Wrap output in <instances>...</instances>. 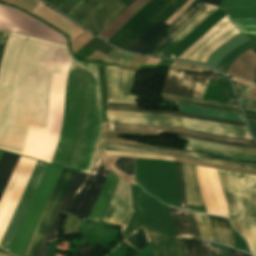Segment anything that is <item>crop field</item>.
<instances>
[{"instance_id": "26", "label": "crop field", "mask_w": 256, "mask_h": 256, "mask_svg": "<svg viewBox=\"0 0 256 256\" xmlns=\"http://www.w3.org/2000/svg\"><path fill=\"white\" fill-rule=\"evenodd\" d=\"M132 87H107V102L136 103L137 96H132Z\"/></svg>"}, {"instance_id": "55", "label": "crop field", "mask_w": 256, "mask_h": 256, "mask_svg": "<svg viewBox=\"0 0 256 256\" xmlns=\"http://www.w3.org/2000/svg\"><path fill=\"white\" fill-rule=\"evenodd\" d=\"M2 153H3V152H2V151H0V157H1Z\"/></svg>"}, {"instance_id": "41", "label": "crop field", "mask_w": 256, "mask_h": 256, "mask_svg": "<svg viewBox=\"0 0 256 256\" xmlns=\"http://www.w3.org/2000/svg\"><path fill=\"white\" fill-rule=\"evenodd\" d=\"M123 54V52L114 49L105 59H103L102 61L104 62H111V63H115L119 57Z\"/></svg>"}, {"instance_id": "37", "label": "crop field", "mask_w": 256, "mask_h": 256, "mask_svg": "<svg viewBox=\"0 0 256 256\" xmlns=\"http://www.w3.org/2000/svg\"><path fill=\"white\" fill-rule=\"evenodd\" d=\"M89 46L105 53V54H109L110 51L113 49L110 46H108L107 44H105L104 42H102L101 40H99L98 38H94L92 39L89 43H87L83 48H88Z\"/></svg>"}, {"instance_id": "42", "label": "crop field", "mask_w": 256, "mask_h": 256, "mask_svg": "<svg viewBox=\"0 0 256 256\" xmlns=\"http://www.w3.org/2000/svg\"><path fill=\"white\" fill-rule=\"evenodd\" d=\"M106 106L138 108L137 104L128 103H107Z\"/></svg>"}, {"instance_id": "18", "label": "crop field", "mask_w": 256, "mask_h": 256, "mask_svg": "<svg viewBox=\"0 0 256 256\" xmlns=\"http://www.w3.org/2000/svg\"><path fill=\"white\" fill-rule=\"evenodd\" d=\"M120 178L110 171L88 218L101 219Z\"/></svg>"}, {"instance_id": "10", "label": "crop field", "mask_w": 256, "mask_h": 256, "mask_svg": "<svg viewBox=\"0 0 256 256\" xmlns=\"http://www.w3.org/2000/svg\"><path fill=\"white\" fill-rule=\"evenodd\" d=\"M103 150L168 155V156L193 159V160H199V161L256 170V164L238 163V162H234L235 159H231V158L219 157V156L181 150V149L106 143Z\"/></svg>"}, {"instance_id": "40", "label": "crop field", "mask_w": 256, "mask_h": 256, "mask_svg": "<svg viewBox=\"0 0 256 256\" xmlns=\"http://www.w3.org/2000/svg\"><path fill=\"white\" fill-rule=\"evenodd\" d=\"M160 100L171 101V102H178V103H184V104H189V105H195V106H200V107H205V108H211V109H216V110H222V111H228V112H233V113H239V114H241L240 111H239V110H236V109L215 107V106H209V105H203V104H197V103H190V102H183V101H177V100H170V99H164V98H161Z\"/></svg>"}, {"instance_id": "33", "label": "crop field", "mask_w": 256, "mask_h": 256, "mask_svg": "<svg viewBox=\"0 0 256 256\" xmlns=\"http://www.w3.org/2000/svg\"><path fill=\"white\" fill-rule=\"evenodd\" d=\"M116 168L131 175L135 180V158L117 157Z\"/></svg>"}, {"instance_id": "50", "label": "crop field", "mask_w": 256, "mask_h": 256, "mask_svg": "<svg viewBox=\"0 0 256 256\" xmlns=\"http://www.w3.org/2000/svg\"><path fill=\"white\" fill-rule=\"evenodd\" d=\"M227 103L234 104V105L236 104V101H235V98H234V95H233L232 91H231V94H230V97H229Z\"/></svg>"}, {"instance_id": "32", "label": "crop field", "mask_w": 256, "mask_h": 256, "mask_svg": "<svg viewBox=\"0 0 256 256\" xmlns=\"http://www.w3.org/2000/svg\"><path fill=\"white\" fill-rule=\"evenodd\" d=\"M198 226L201 239L212 240L207 216L201 213L191 212ZM213 241V240H212Z\"/></svg>"}, {"instance_id": "34", "label": "crop field", "mask_w": 256, "mask_h": 256, "mask_svg": "<svg viewBox=\"0 0 256 256\" xmlns=\"http://www.w3.org/2000/svg\"><path fill=\"white\" fill-rule=\"evenodd\" d=\"M233 20L244 32V34H256V19H233Z\"/></svg>"}, {"instance_id": "48", "label": "crop field", "mask_w": 256, "mask_h": 256, "mask_svg": "<svg viewBox=\"0 0 256 256\" xmlns=\"http://www.w3.org/2000/svg\"><path fill=\"white\" fill-rule=\"evenodd\" d=\"M226 16H227V15H226ZM227 18L230 20V18H229L228 16H227ZM230 21H231V20H230ZM231 22H232V21H231ZM232 23H233V22H232ZM233 24H234V23H233ZM234 26L237 28V26H236L235 24H234ZM237 29H238V28H237ZM238 31L241 32L239 29H238ZM215 33H216V32H215ZM215 33H214V34H215ZM214 34H213V35H214ZM206 41H207V40H206ZM206 41H205V42H206ZM205 42H204V43H205ZM204 43H203V44H204ZM224 44H225V43H224ZM224 44H223V45H224ZM220 47H221V46H220ZM220 47H219V48H220ZM219 48H218V49H219ZM197 49H198V48H197ZM197 49H196V50H197ZM196 50H195V51H196ZM216 50H217V49H216ZM216 50H215V51H216ZM195 51H194V52H195ZM215 51H214V52H215ZM194 52H193V53H194ZM214 52H213V53H214ZM193 53H192V54H193ZM213 53H212V54H213ZM212 54H211V55H212ZM211 55H210V56H211ZM189 56H190V55H189ZM189 56H188V57H189ZM210 56H209V57H210ZM188 57H187V58H188ZM187 58H186V59H187ZM177 59H179V60H186V59H181V58H177ZM208 59H209V58H208ZM186 61H190V60H186ZM194 62H196V61H194ZM200 63H202V62H200ZM204 64H206V63H204Z\"/></svg>"}, {"instance_id": "12", "label": "crop field", "mask_w": 256, "mask_h": 256, "mask_svg": "<svg viewBox=\"0 0 256 256\" xmlns=\"http://www.w3.org/2000/svg\"><path fill=\"white\" fill-rule=\"evenodd\" d=\"M47 165V163L37 162L8 229L3 237L0 248L7 251L9 250Z\"/></svg>"}, {"instance_id": "1", "label": "crop field", "mask_w": 256, "mask_h": 256, "mask_svg": "<svg viewBox=\"0 0 256 256\" xmlns=\"http://www.w3.org/2000/svg\"><path fill=\"white\" fill-rule=\"evenodd\" d=\"M9 33L0 31V58ZM73 55L10 33L0 65V149L50 163Z\"/></svg>"}, {"instance_id": "51", "label": "crop field", "mask_w": 256, "mask_h": 256, "mask_svg": "<svg viewBox=\"0 0 256 256\" xmlns=\"http://www.w3.org/2000/svg\"><path fill=\"white\" fill-rule=\"evenodd\" d=\"M241 87H242V85H240L238 83H235V85H234V88H235L236 93H237L238 96H239V92H240Z\"/></svg>"}, {"instance_id": "9", "label": "crop field", "mask_w": 256, "mask_h": 256, "mask_svg": "<svg viewBox=\"0 0 256 256\" xmlns=\"http://www.w3.org/2000/svg\"><path fill=\"white\" fill-rule=\"evenodd\" d=\"M75 172L63 169L24 256H36Z\"/></svg>"}, {"instance_id": "43", "label": "crop field", "mask_w": 256, "mask_h": 256, "mask_svg": "<svg viewBox=\"0 0 256 256\" xmlns=\"http://www.w3.org/2000/svg\"><path fill=\"white\" fill-rule=\"evenodd\" d=\"M244 109L256 112V101L247 99Z\"/></svg>"}, {"instance_id": "44", "label": "crop field", "mask_w": 256, "mask_h": 256, "mask_svg": "<svg viewBox=\"0 0 256 256\" xmlns=\"http://www.w3.org/2000/svg\"><path fill=\"white\" fill-rule=\"evenodd\" d=\"M248 89H249L248 87L243 86V88H242V90H241L239 100H240V102H241L242 105H244V101H245V98H246Z\"/></svg>"}, {"instance_id": "27", "label": "crop field", "mask_w": 256, "mask_h": 256, "mask_svg": "<svg viewBox=\"0 0 256 256\" xmlns=\"http://www.w3.org/2000/svg\"><path fill=\"white\" fill-rule=\"evenodd\" d=\"M167 26L168 25L158 21L136 40V44L132 43L127 50L138 52L146 43L162 32Z\"/></svg>"}, {"instance_id": "22", "label": "crop field", "mask_w": 256, "mask_h": 256, "mask_svg": "<svg viewBox=\"0 0 256 256\" xmlns=\"http://www.w3.org/2000/svg\"><path fill=\"white\" fill-rule=\"evenodd\" d=\"M136 73L134 71L118 69V67L106 66L107 86H133Z\"/></svg>"}, {"instance_id": "17", "label": "crop field", "mask_w": 256, "mask_h": 256, "mask_svg": "<svg viewBox=\"0 0 256 256\" xmlns=\"http://www.w3.org/2000/svg\"><path fill=\"white\" fill-rule=\"evenodd\" d=\"M200 4V2L194 1L190 7L180 16L178 17L167 29H165L162 33H160L157 37H155L153 40H151L148 44H146L139 52L141 53H148L156 44L157 42L165 36L167 33H169L171 30H173L175 27H177L179 24H181L186 17ZM203 5L201 3L188 17L187 19L176 29H174L172 32H170L168 35H166L164 38H162L159 43L148 53L151 54L166 38H168L171 34H173L176 30H178L181 26H183Z\"/></svg>"}, {"instance_id": "24", "label": "crop field", "mask_w": 256, "mask_h": 256, "mask_svg": "<svg viewBox=\"0 0 256 256\" xmlns=\"http://www.w3.org/2000/svg\"><path fill=\"white\" fill-rule=\"evenodd\" d=\"M20 156L4 152L0 159V198Z\"/></svg>"}, {"instance_id": "36", "label": "crop field", "mask_w": 256, "mask_h": 256, "mask_svg": "<svg viewBox=\"0 0 256 256\" xmlns=\"http://www.w3.org/2000/svg\"><path fill=\"white\" fill-rule=\"evenodd\" d=\"M161 97L239 109L238 106L214 103V102H210V101L198 100V99L188 98V97L174 96V95H170V94H162Z\"/></svg>"}, {"instance_id": "38", "label": "crop field", "mask_w": 256, "mask_h": 256, "mask_svg": "<svg viewBox=\"0 0 256 256\" xmlns=\"http://www.w3.org/2000/svg\"><path fill=\"white\" fill-rule=\"evenodd\" d=\"M185 149L193 150V151H199V152H204V153H209V154H214V155H220V156H225V157H231V158H237V159H244V160L256 161V158H253V157L238 156V155L227 154V153H221V152H215V151H209V150H204V149H199V148H193V147H188V146H186Z\"/></svg>"}, {"instance_id": "21", "label": "crop field", "mask_w": 256, "mask_h": 256, "mask_svg": "<svg viewBox=\"0 0 256 256\" xmlns=\"http://www.w3.org/2000/svg\"><path fill=\"white\" fill-rule=\"evenodd\" d=\"M212 230L213 239L233 247L232 231L229 221L225 218L207 215Z\"/></svg>"}, {"instance_id": "3", "label": "crop field", "mask_w": 256, "mask_h": 256, "mask_svg": "<svg viewBox=\"0 0 256 256\" xmlns=\"http://www.w3.org/2000/svg\"><path fill=\"white\" fill-rule=\"evenodd\" d=\"M99 34L135 0H43Z\"/></svg>"}, {"instance_id": "30", "label": "crop field", "mask_w": 256, "mask_h": 256, "mask_svg": "<svg viewBox=\"0 0 256 256\" xmlns=\"http://www.w3.org/2000/svg\"><path fill=\"white\" fill-rule=\"evenodd\" d=\"M251 48V43L250 41L244 43L243 45L237 47L234 49L232 52H230L227 56H225L222 61L219 63L217 66V69L222 71L223 73L226 74L228 69L230 68L232 62L244 51L247 49Z\"/></svg>"}, {"instance_id": "16", "label": "crop field", "mask_w": 256, "mask_h": 256, "mask_svg": "<svg viewBox=\"0 0 256 256\" xmlns=\"http://www.w3.org/2000/svg\"><path fill=\"white\" fill-rule=\"evenodd\" d=\"M169 207V206H168ZM177 238L200 239L197 226L189 211L169 207Z\"/></svg>"}, {"instance_id": "28", "label": "crop field", "mask_w": 256, "mask_h": 256, "mask_svg": "<svg viewBox=\"0 0 256 256\" xmlns=\"http://www.w3.org/2000/svg\"><path fill=\"white\" fill-rule=\"evenodd\" d=\"M185 256H210L209 242L201 240H183Z\"/></svg>"}, {"instance_id": "35", "label": "crop field", "mask_w": 256, "mask_h": 256, "mask_svg": "<svg viewBox=\"0 0 256 256\" xmlns=\"http://www.w3.org/2000/svg\"><path fill=\"white\" fill-rule=\"evenodd\" d=\"M176 173H177V181H178V189H179L180 206L183 209L189 210L186 204L185 196H184L181 163L176 162Z\"/></svg>"}, {"instance_id": "6", "label": "crop field", "mask_w": 256, "mask_h": 256, "mask_svg": "<svg viewBox=\"0 0 256 256\" xmlns=\"http://www.w3.org/2000/svg\"><path fill=\"white\" fill-rule=\"evenodd\" d=\"M61 170V168L48 165L9 250L10 252L23 256Z\"/></svg>"}, {"instance_id": "20", "label": "crop field", "mask_w": 256, "mask_h": 256, "mask_svg": "<svg viewBox=\"0 0 256 256\" xmlns=\"http://www.w3.org/2000/svg\"><path fill=\"white\" fill-rule=\"evenodd\" d=\"M179 139L187 141L186 145L188 146L256 157V149L229 146V145L217 144V143L200 141V140L183 138V137H179Z\"/></svg>"}, {"instance_id": "45", "label": "crop field", "mask_w": 256, "mask_h": 256, "mask_svg": "<svg viewBox=\"0 0 256 256\" xmlns=\"http://www.w3.org/2000/svg\"><path fill=\"white\" fill-rule=\"evenodd\" d=\"M247 121H248L252 135L256 138V122L249 121V120H247Z\"/></svg>"}, {"instance_id": "2", "label": "crop field", "mask_w": 256, "mask_h": 256, "mask_svg": "<svg viewBox=\"0 0 256 256\" xmlns=\"http://www.w3.org/2000/svg\"><path fill=\"white\" fill-rule=\"evenodd\" d=\"M109 170L98 158L90 176L75 173L37 256H44L48 244L57 240L61 217L67 212L83 176L67 213L87 218Z\"/></svg>"}, {"instance_id": "5", "label": "crop field", "mask_w": 256, "mask_h": 256, "mask_svg": "<svg viewBox=\"0 0 256 256\" xmlns=\"http://www.w3.org/2000/svg\"><path fill=\"white\" fill-rule=\"evenodd\" d=\"M227 174L234 195L240 233L256 256V175L229 171Z\"/></svg>"}, {"instance_id": "52", "label": "crop field", "mask_w": 256, "mask_h": 256, "mask_svg": "<svg viewBox=\"0 0 256 256\" xmlns=\"http://www.w3.org/2000/svg\"><path fill=\"white\" fill-rule=\"evenodd\" d=\"M0 256H13V255L8 254V253L3 252V251L0 250Z\"/></svg>"}, {"instance_id": "8", "label": "crop field", "mask_w": 256, "mask_h": 256, "mask_svg": "<svg viewBox=\"0 0 256 256\" xmlns=\"http://www.w3.org/2000/svg\"><path fill=\"white\" fill-rule=\"evenodd\" d=\"M219 73L204 68L202 73L170 67L160 92L201 99L208 79L217 80Z\"/></svg>"}, {"instance_id": "49", "label": "crop field", "mask_w": 256, "mask_h": 256, "mask_svg": "<svg viewBox=\"0 0 256 256\" xmlns=\"http://www.w3.org/2000/svg\"><path fill=\"white\" fill-rule=\"evenodd\" d=\"M199 1L204 2V3H211V4L219 5L221 0H199Z\"/></svg>"}, {"instance_id": "14", "label": "crop field", "mask_w": 256, "mask_h": 256, "mask_svg": "<svg viewBox=\"0 0 256 256\" xmlns=\"http://www.w3.org/2000/svg\"><path fill=\"white\" fill-rule=\"evenodd\" d=\"M216 8H218V6L204 4L201 9L183 27H181L178 31L166 39L152 54L164 56Z\"/></svg>"}, {"instance_id": "7", "label": "crop field", "mask_w": 256, "mask_h": 256, "mask_svg": "<svg viewBox=\"0 0 256 256\" xmlns=\"http://www.w3.org/2000/svg\"><path fill=\"white\" fill-rule=\"evenodd\" d=\"M179 1L151 0L107 42L126 50L133 39L136 40Z\"/></svg>"}, {"instance_id": "15", "label": "crop field", "mask_w": 256, "mask_h": 256, "mask_svg": "<svg viewBox=\"0 0 256 256\" xmlns=\"http://www.w3.org/2000/svg\"><path fill=\"white\" fill-rule=\"evenodd\" d=\"M144 228L157 256H184L182 240Z\"/></svg>"}, {"instance_id": "19", "label": "crop field", "mask_w": 256, "mask_h": 256, "mask_svg": "<svg viewBox=\"0 0 256 256\" xmlns=\"http://www.w3.org/2000/svg\"><path fill=\"white\" fill-rule=\"evenodd\" d=\"M182 167L185 196L188 205L204 206L198 191L194 166L182 163Z\"/></svg>"}, {"instance_id": "46", "label": "crop field", "mask_w": 256, "mask_h": 256, "mask_svg": "<svg viewBox=\"0 0 256 256\" xmlns=\"http://www.w3.org/2000/svg\"><path fill=\"white\" fill-rule=\"evenodd\" d=\"M230 250H235V249L230 248ZM235 251H238V250H235ZM235 251H230V256H243L242 253H244V252L238 253V252H235ZM239 252H241V251H239ZM244 256H249V255L247 253H244Z\"/></svg>"}, {"instance_id": "54", "label": "crop field", "mask_w": 256, "mask_h": 256, "mask_svg": "<svg viewBox=\"0 0 256 256\" xmlns=\"http://www.w3.org/2000/svg\"><path fill=\"white\" fill-rule=\"evenodd\" d=\"M254 83L256 84V75H255Z\"/></svg>"}, {"instance_id": "29", "label": "crop field", "mask_w": 256, "mask_h": 256, "mask_svg": "<svg viewBox=\"0 0 256 256\" xmlns=\"http://www.w3.org/2000/svg\"><path fill=\"white\" fill-rule=\"evenodd\" d=\"M106 110H123V111H133V112H164V113L182 115V116L193 117V118H198V119H204V120H209V121H215V122H221V123H228V124H235V125L245 126V124L241 123V122H234V121L206 118V117L194 116V115H189V114H184V113H179V112H174V111H166V110H146V109H130V108H114V107H107Z\"/></svg>"}, {"instance_id": "13", "label": "crop field", "mask_w": 256, "mask_h": 256, "mask_svg": "<svg viewBox=\"0 0 256 256\" xmlns=\"http://www.w3.org/2000/svg\"><path fill=\"white\" fill-rule=\"evenodd\" d=\"M133 214L129 184L120 180L101 220L122 226L123 232Z\"/></svg>"}, {"instance_id": "4", "label": "crop field", "mask_w": 256, "mask_h": 256, "mask_svg": "<svg viewBox=\"0 0 256 256\" xmlns=\"http://www.w3.org/2000/svg\"><path fill=\"white\" fill-rule=\"evenodd\" d=\"M108 121L113 123H138L188 128L232 137L252 139L242 126L221 124L164 113H133L106 111Z\"/></svg>"}, {"instance_id": "25", "label": "crop field", "mask_w": 256, "mask_h": 256, "mask_svg": "<svg viewBox=\"0 0 256 256\" xmlns=\"http://www.w3.org/2000/svg\"><path fill=\"white\" fill-rule=\"evenodd\" d=\"M217 171H218L219 179L222 184V187H223V190L225 193V197L227 200L231 224L239 232L238 225H237V219H236V213H235L233 195H232V191H231V188H230L228 180H227L226 171L219 170V169H217Z\"/></svg>"}, {"instance_id": "11", "label": "crop field", "mask_w": 256, "mask_h": 256, "mask_svg": "<svg viewBox=\"0 0 256 256\" xmlns=\"http://www.w3.org/2000/svg\"><path fill=\"white\" fill-rule=\"evenodd\" d=\"M109 131H137V132H152V133H168V134L180 135V136L191 137V138L207 140L212 142L256 148V142L254 140L224 137V136L196 132V131H191V130L182 129V128H175V127L109 123Z\"/></svg>"}, {"instance_id": "53", "label": "crop field", "mask_w": 256, "mask_h": 256, "mask_svg": "<svg viewBox=\"0 0 256 256\" xmlns=\"http://www.w3.org/2000/svg\"><path fill=\"white\" fill-rule=\"evenodd\" d=\"M245 115L248 119L256 120V116H251V115H247V114H245Z\"/></svg>"}, {"instance_id": "39", "label": "crop field", "mask_w": 256, "mask_h": 256, "mask_svg": "<svg viewBox=\"0 0 256 256\" xmlns=\"http://www.w3.org/2000/svg\"><path fill=\"white\" fill-rule=\"evenodd\" d=\"M211 256H229V247L210 242Z\"/></svg>"}, {"instance_id": "23", "label": "crop field", "mask_w": 256, "mask_h": 256, "mask_svg": "<svg viewBox=\"0 0 256 256\" xmlns=\"http://www.w3.org/2000/svg\"><path fill=\"white\" fill-rule=\"evenodd\" d=\"M177 105L179 107V111H181V112L195 114V115H201V116H207V117H213V118H220V119L244 122L242 116L239 114H233V113L216 111V110L199 108V107L186 106V105H181V104H177Z\"/></svg>"}, {"instance_id": "56", "label": "crop field", "mask_w": 256, "mask_h": 256, "mask_svg": "<svg viewBox=\"0 0 256 256\" xmlns=\"http://www.w3.org/2000/svg\"><path fill=\"white\" fill-rule=\"evenodd\" d=\"M256 52V50H254Z\"/></svg>"}, {"instance_id": "47", "label": "crop field", "mask_w": 256, "mask_h": 256, "mask_svg": "<svg viewBox=\"0 0 256 256\" xmlns=\"http://www.w3.org/2000/svg\"><path fill=\"white\" fill-rule=\"evenodd\" d=\"M246 36L250 39L253 45V49H256V35H246Z\"/></svg>"}, {"instance_id": "31", "label": "crop field", "mask_w": 256, "mask_h": 256, "mask_svg": "<svg viewBox=\"0 0 256 256\" xmlns=\"http://www.w3.org/2000/svg\"><path fill=\"white\" fill-rule=\"evenodd\" d=\"M125 243L131 245L138 252L142 250L146 245L149 244V240L147 238L144 228L141 226L125 240Z\"/></svg>"}]
</instances>
